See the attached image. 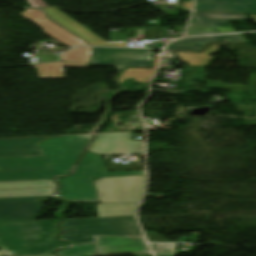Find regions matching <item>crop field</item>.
<instances>
[{
  "label": "crop field",
  "instance_id": "crop-field-3",
  "mask_svg": "<svg viewBox=\"0 0 256 256\" xmlns=\"http://www.w3.org/2000/svg\"><path fill=\"white\" fill-rule=\"evenodd\" d=\"M98 236L143 237L134 217L65 220L60 238L76 243L96 242Z\"/></svg>",
  "mask_w": 256,
  "mask_h": 256
},
{
  "label": "crop field",
  "instance_id": "crop-field-15",
  "mask_svg": "<svg viewBox=\"0 0 256 256\" xmlns=\"http://www.w3.org/2000/svg\"><path fill=\"white\" fill-rule=\"evenodd\" d=\"M196 10L256 14V0H196Z\"/></svg>",
  "mask_w": 256,
  "mask_h": 256
},
{
  "label": "crop field",
  "instance_id": "crop-field-12",
  "mask_svg": "<svg viewBox=\"0 0 256 256\" xmlns=\"http://www.w3.org/2000/svg\"><path fill=\"white\" fill-rule=\"evenodd\" d=\"M91 48H74L62 54L65 63L38 65L40 78H64L62 67L85 68L87 66Z\"/></svg>",
  "mask_w": 256,
  "mask_h": 256
},
{
  "label": "crop field",
  "instance_id": "crop-field-17",
  "mask_svg": "<svg viewBox=\"0 0 256 256\" xmlns=\"http://www.w3.org/2000/svg\"><path fill=\"white\" fill-rule=\"evenodd\" d=\"M138 203L98 204V217L134 216Z\"/></svg>",
  "mask_w": 256,
  "mask_h": 256
},
{
  "label": "crop field",
  "instance_id": "crop-field-18",
  "mask_svg": "<svg viewBox=\"0 0 256 256\" xmlns=\"http://www.w3.org/2000/svg\"><path fill=\"white\" fill-rule=\"evenodd\" d=\"M218 46L219 42L205 46L206 49L201 54L183 52L178 53V55L183 63H189L190 66H206L210 63L211 59H214V57L209 55L218 51Z\"/></svg>",
  "mask_w": 256,
  "mask_h": 256
},
{
  "label": "crop field",
  "instance_id": "crop-field-1",
  "mask_svg": "<svg viewBox=\"0 0 256 256\" xmlns=\"http://www.w3.org/2000/svg\"><path fill=\"white\" fill-rule=\"evenodd\" d=\"M92 135L48 139L38 146L45 156L0 159V181L53 179L67 175Z\"/></svg>",
  "mask_w": 256,
  "mask_h": 256
},
{
  "label": "crop field",
  "instance_id": "crop-field-21",
  "mask_svg": "<svg viewBox=\"0 0 256 256\" xmlns=\"http://www.w3.org/2000/svg\"><path fill=\"white\" fill-rule=\"evenodd\" d=\"M156 256H173V248L170 244H152Z\"/></svg>",
  "mask_w": 256,
  "mask_h": 256
},
{
  "label": "crop field",
  "instance_id": "crop-field-13",
  "mask_svg": "<svg viewBox=\"0 0 256 256\" xmlns=\"http://www.w3.org/2000/svg\"><path fill=\"white\" fill-rule=\"evenodd\" d=\"M55 137L63 136L0 139V158L42 156L37 144Z\"/></svg>",
  "mask_w": 256,
  "mask_h": 256
},
{
  "label": "crop field",
  "instance_id": "crop-field-23",
  "mask_svg": "<svg viewBox=\"0 0 256 256\" xmlns=\"http://www.w3.org/2000/svg\"><path fill=\"white\" fill-rule=\"evenodd\" d=\"M254 22L256 23V16H251Z\"/></svg>",
  "mask_w": 256,
  "mask_h": 256
},
{
  "label": "crop field",
  "instance_id": "crop-field-4",
  "mask_svg": "<svg viewBox=\"0 0 256 256\" xmlns=\"http://www.w3.org/2000/svg\"><path fill=\"white\" fill-rule=\"evenodd\" d=\"M102 155L84 154L72 176L60 177L59 196L68 200L99 201L91 177L145 175L144 171L108 172Z\"/></svg>",
  "mask_w": 256,
  "mask_h": 256
},
{
  "label": "crop field",
  "instance_id": "crop-field-5",
  "mask_svg": "<svg viewBox=\"0 0 256 256\" xmlns=\"http://www.w3.org/2000/svg\"><path fill=\"white\" fill-rule=\"evenodd\" d=\"M97 243L72 245L58 251L59 256H93L149 252L143 238L97 237Z\"/></svg>",
  "mask_w": 256,
  "mask_h": 256
},
{
  "label": "crop field",
  "instance_id": "crop-field-16",
  "mask_svg": "<svg viewBox=\"0 0 256 256\" xmlns=\"http://www.w3.org/2000/svg\"><path fill=\"white\" fill-rule=\"evenodd\" d=\"M220 39H227L230 42H239L245 41L239 35H221V36H209V37H199V38H187L178 40L172 44H170L167 50H201L202 46L210 43L215 42Z\"/></svg>",
  "mask_w": 256,
  "mask_h": 256
},
{
  "label": "crop field",
  "instance_id": "crop-field-24",
  "mask_svg": "<svg viewBox=\"0 0 256 256\" xmlns=\"http://www.w3.org/2000/svg\"><path fill=\"white\" fill-rule=\"evenodd\" d=\"M137 256H152L151 254L137 255Z\"/></svg>",
  "mask_w": 256,
  "mask_h": 256
},
{
  "label": "crop field",
  "instance_id": "crop-field-6",
  "mask_svg": "<svg viewBox=\"0 0 256 256\" xmlns=\"http://www.w3.org/2000/svg\"><path fill=\"white\" fill-rule=\"evenodd\" d=\"M94 184L101 202H139L145 176L110 177Z\"/></svg>",
  "mask_w": 256,
  "mask_h": 256
},
{
  "label": "crop field",
  "instance_id": "crop-field-11",
  "mask_svg": "<svg viewBox=\"0 0 256 256\" xmlns=\"http://www.w3.org/2000/svg\"><path fill=\"white\" fill-rule=\"evenodd\" d=\"M52 180L0 182V197H29L53 195Z\"/></svg>",
  "mask_w": 256,
  "mask_h": 256
},
{
  "label": "crop field",
  "instance_id": "crop-field-14",
  "mask_svg": "<svg viewBox=\"0 0 256 256\" xmlns=\"http://www.w3.org/2000/svg\"><path fill=\"white\" fill-rule=\"evenodd\" d=\"M43 10L51 19L92 45L126 47V42H106L102 40L56 8H47Z\"/></svg>",
  "mask_w": 256,
  "mask_h": 256
},
{
  "label": "crop field",
  "instance_id": "crop-field-2",
  "mask_svg": "<svg viewBox=\"0 0 256 256\" xmlns=\"http://www.w3.org/2000/svg\"><path fill=\"white\" fill-rule=\"evenodd\" d=\"M57 220L0 222V256L50 254L64 245L53 240Z\"/></svg>",
  "mask_w": 256,
  "mask_h": 256
},
{
  "label": "crop field",
  "instance_id": "crop-field-9",
  "mask_svg": "<svg viewBox=\"0 0 256 256\" xmlns=\"http://www.w3.org/2000/svg\"><path fill=\"white\" fill-rule=\"evenodd\" d=\"M247 20L245 15L194 12L189 35L235 32L227 21ZM197 22V23H192Z\"/></svg>",
  "mask_w": 256,
  "mask_h": 256
},
{
  "label": "crop field",
  "instance_id": "crop-field-22",
  "mask_svg": "<svg viewBox=\"0 0 256 256\" xmlns=\"http://www.w3.org/2000/svg\"><path fill=\"white\" fill-rule=\"evenodd\" d=\"M32 7H44L47 6L43 0H29V2Z\"/></svg>",
  "mask_w": 256,
  "mask_h": 256
},
{
  "label": "crop field",
  "instance_id": "crop-field-8",
  "mask_svg": "<svg viewBox=\"0 0 256 256\" xmlns=\"http://www.w3.org/2000/svg\"><path fill=\"white\" fill-rule=\"evenodd\" d=\"M130 133L97 135L89 152L102 155L142 154L143 142L129 140Z\"/></svg>",
  "mask_w": 256,
  "mask_h": 256
},
{
  "label": "crop field",
  "instance_id": "crop-field-20",
  "mask_svg": "<svg viewBox=\"0 0 256 256\" xmlns=\"http://www.w3.org/2000/svg\"><path fill=\"white\" fill-rule=\"evenodd\" d=\"M250 82H251V86H244V85H224L222 84V82L207 81V88L256 91V75H253L250 78Z\"/></svg>",
  "mask_w": 256,
  "mask_h": 256
},
{
  "label": "crop field",
  "instance_id": "crop-field-10",
  "mask_svg": "<svg viewBox=\"0 0 256 256\" xmlns=\"http://www.w3.org/2000/svg\"><path fill=\"white\" fill-rule=\"evenodd\" d=\"M36 198H0V221L36 220L45 203H35Z\"/></svg>",
  "mask_w": 256,
  "mask_h": 256
},
{
  "label": "crop field",
  "instance_id": "crop-field-19",
  "mask_svg": "<svg viewBox=\"0 0 256 256\" xmlns=\"http://www.w3.org/2000/svg\"><path fill=\"white\" fill-rule=\"evenodd\" d=\"M113 41L159 38V27L128 30L126 33H112Z\"/></svg>",
  "mask_w": 256,
  "mask_h": 256
},
{
  "label": "crop field",
  "instance_id": "crop-field-7",
  "mask_svg": "<svg viewBox=\"0 0 256 256\" xmlns=\"http://www.w3.org/2000/svg\"><path fill=\"white\" fill-rule=\"evenodd\" d=\"M152 51L94 48L90 64L114 65L119 70L125 66H148L151 64Z\"/></svg>",
  "mask_w": 256,
  "mask_h": 256
}]
</instances>
